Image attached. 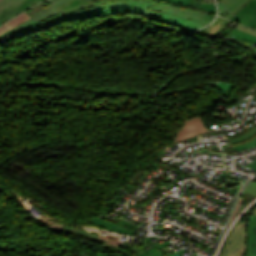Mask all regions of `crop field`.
I'll return each mask as SVG.
<instances>
[{
	"mask_svg": "<svg viewBox=\"0 0 256 256\" xmlns=\"http://www.w3.org/2000/svg\"><path fill=\"white\" fill-rule=\"evenodd\" d=\"M153 1L145 0H132L119 3H110L96 7L98 15L111 14V13H127L134 12L145 15L147 19L164 23L167 25L175 26L178 28L194 31L206 24L189 21L179 17H175L165 13H159L148 10Z\"/></svg>",
	"mask_w": 256,
	"mask_h": 256,
	"instance_id": "8a807250",
	"label": "crop field"
},
{
	"mask_svg": "<svg viewBox=\"0 0 256 256\" xmlns=\"http://www.w3.org/2000/svg\"><path fill=\"white\" fill-rule=\"evenodd\" d=\"M247 223L239 222L232 228L220 256H243L246 253Z\"/></svg>",
	"mask_w": 256,
	"mask_h": 256,
	"instance_id": "ac0d7876",
	"label": "crop field"
},
{
	"mask_svg": "<svg viewBox=\"0 0 256 256\" xmlns=\"http://www.w3.org/2000/svg\"><path fill=\"white\" fill-rule=\"evenodd\" d=\"M41 1L44 0H4L0 2V24Z\"/></svg>",
	"mask_w": 256,
	"mask_h": 256,
	"instance_id": "34b2d1b8",
	"label": "crop field"
},
{
	"mask_svg": "<svg viewBox=\"0 0 256 256\" xmlns=\"http://www.w3.org/2000/svg\"><path fill=\"white\" fill-rule=\"evenodd\" d=\"M150 10L165 12V13L182 17V18H186V19H190V20H194V21H198L206 24L210 23L214 18L212 16H208L200 12L176 8V7L162 5V4H155V3H152Z\"/></svg>",
	"mask_w": 256,
	"mask_h": 256,
	"instance_id": "412701ff",
	"label": "crop field"
},
{
	"mask_svg": "<svg viewBox=\"0 0 256 256\" xmlns=\"http://www.w3.org/2000/svg\"><path fill=\"white\" fill-rule=\"evenodd\" d=\"M213 130V129H212ZM210 129H208L202 120V116L197 117V118H193L190 120H186L184 126L182 127L179 135L177 136L176 140L174 143L189 138V137H193V136H198L199 134L205 133V132H209L212 131Z\"/></svg>",
	"mask_w": 256,
	"mask_h": 256,
	"instance_id": "f4fd0767",
	"label": "crop field"
},
{
	"mask_svg": "<svg viewBox=\"0 0 256 256\" xmlns=\"http://www.w3.org/2000/svg\"><path fill=\"white\" fill-rule=\"evenodd\" d=\"M231 20L254 29L256 26V0H250Z\"/></svg>",
	"mask_w": 256,
	"mask_h": 256,
	"instance_id": "dd49c442",
	"label": "crop field"
},
{
	"mask_svg": "<svg viewBox=\"0 0 256 256\" xmlns=\"http://www.w3.org/2000/svg\"><path fill=\"white\" fill-rule=\"evenodd\" d=\"M249 0H222L218 4L219 14L230 19L235 15ZM219 15V16H220Z\"/></svg>",
	"mask_w": 256,
	"mask_h": 256,
	"instance_id": "e52e79f7",
	"label": "crop field"
},
{
	"mask_svg": "<svg viewBox=\"0 0 256 256\" xmlns=\"http://www.w3.org/2000/svg\"><path fill=\"white\" fill-rule=\"evenodd\" d=\"M94 6L92 0H71L56 6L58 11L65 16L71 12Z\"/></svg>",
	"mask_w": 256,
	"mask_h": 256,
	"instance_id": "d8731c3e",
	"label": "crop field"
},
{
	"mask_svg": "<svg viewBox=\"0 0 256 256\" xmlns=\"http://www.w3.org/2000/svg\"><path fill=\"white\" fill-rule=\"evenodd\" d=\"M172 3H183L186 5L194 6L198 9L206 10L215 13L216 8L214 4V0H163Z\"/></svg>",
	"mask_w": 256,
	"mask_h": 256,
	"instance_id": "5a996713",
	"label": "crop field"
},
{
	"mask_svg": "<svg viewBox=\"0 0 256 256\" xmlns=\"http://www.w3.org/2000/svg\"><path fill=\"white\" fill-rule=\"evenodd\" d=\"M247 252L256 254V216L252 215L248 219Z\"/></svg>",
	"mask_w": 256,
	"mask_h": 256,
	"instance_id": "3316defc",
	"label": "crop field"
},
{
	"mask_svg": "<svg viewBox=\"0 0 256 256\" xmlns=\"http://www.w3.org/2000/svg\"><path fill=\"white\" fill-rule=\"evenodd\" d=\"M228 23L229 21L217 17L216 20L207 28L203 34L216 38Z\"/></svg>",
	"mask_w": 256,
	"mask_h": 256,
	"instance_id": "28ad6ade",
	"label": "crop field"
},
{
	"mask_svg": "<svg viewBox=\"0 0 256 256\" xmlns=\"http://www.w3.org/2000/svg\"><path fill=\"white\" fill-rule=\"evenodd\" d=\"M90 222L94 223V224H97V225H101V226H104L105 228L107 229H110V230H113L115 232H118V233H122V234H127V235H131V236H134V233L128 231V230H125L121 227H118L112 223H109L97 216H95L94 218L90 219L89 220Z\"/></svg>",
	"mask_w": 256,
	"mask_h": 256,
	"instance_id": "d1516ede",
	"label": "crop field"
},
{
	"mask_svg": "<svg viewBox=\"0 0 256 256\" xmlns=\"http://www.w3.org/2000/svg\"><path fill=\"white\" fill-rule=\"evenodd\" d=\"M56 14H59L55 8L51 5L47 8H44L32 15H30L37 23L47 19V18H50Z\"/></svg>",
	"mask_w": 256,
	"mask_h": 256,
	"instance_id": "22f410ed",
	"label": "crop field"
},
{
	"mask_svg": "<svg viewBox=\"0 0 256 256\" xmlns=\"http://www.w3.org/2000/svg\"><path fill=\"white\" fill-rule=\"evenodd\" d=\"M95 15H97L95 7H92V8H87L81 11L74 12L64 18L67 20H71V19L89 17V16H95Z\"/></svg>",
	"mask_w": 256,
	"mask_h": 256,
	"instance_id": "cbeb9de0",
	"label": "crop field"
},
{
	"mask_svg": "<svg viewBox=\"0 0 256 256\" xmlns=\"http://www.w3.org/2000/svg\"><path fill=\"white\" fill-rule=\"evenodd\" d=\"M65 231H69V232H72V233H75V234H78V235H83V236H86V237L91 238V239L101 240V239L98 238V233L99 232H97V231L86 230V229L79 230V229H75V228H71V227H66Z\"/></svg>",
	"mask_w": 256,
	"mask_h": 256,
	"instance_id": "5142ce71",
	"label": "crop field"
},
{
	"mask_svg": "<svg viewBox=\"0 0 256 256\" xmlns=\"http://www.w3.org/2000/svg\"><path fill=\"white\" fill-rule=\"evenodd\" d=\"M29 18H31V17L29 15H27L25 12H23L20 15H18L16 18H14L13 20H11L10 22L6 23L3 26L9 30Z\"/></svg>",
	"mask_w": 256,
	"mask_h": 256,
	"instance_id": "d9b57169",
	"label": "crop field"
},
{
	"mask_svg": "<svg viewBox=\"0 0 256 256\" xmlns=\"http://www.w3.org/2000/svg\"><path fill=\"white\" fill-rule=\"evenodd\" d=\"M39 28H42L41 26H39L35 21L28 24L27 26L21 28L20 30L12 33L13 35H15L16 37L18 36H21L23 34H26L28 32H31L33 30H36V29H39Z\"/></svg>",
	"mask_w": 256,
	"mask_h": 256,
	"instance_id": "733c2abd",
	"label": "crop field"
},
{
	"mask_svg": "<svg viewBox=\"0 0 256 256\" xmlns=\"http://www.w3.org/2000/svg\"><path fill=\"white\" fill-rule=\"evenodd\" d=\"M255 146H256V138H254L253 140H251L245 144L234 146V149L238 152L240 150L249 149V148H252Z\"/></svg>",
	"mask_w": 256,
	"mask_h": 256,
	"instance_id": "4a817a6b",
	"label": "crop field"
},
{
	"mask_svg": "<svg viewBox=\"0 0 256 256\" xmlns=\"http://www.w3.org/2000/svg\"><path fill=\"white\" fill-rule=\"evenodd\" d=\"M232 33H234L236 35H239V36H241V37H243L245 39H248V40H251L253 42H256V37H254L252 35H249V34H247L245 32H242V31H240L238 29H235Z\"/></svg>",
	"mask_w": 256,
	"mask_h": 256,
	"instance_id": "bc2a9ffb",
	"label": "crop field"
},
{
	"mask_svg": "<svg viewBox=\"0 0 256 256\" xmlns=\"http://www.w3.org/2000/svg\"><path fill=\"white\" fill-rule=\"evenodd\" d=\"M255 133H256V127L253 130H251L250 132L246 133L245 135H243L239 138L231 139L230 141H231V143L241 141V140H244V139H247V138L251 137Z\"/></svg>",
	"mask_w": 256,
	"mask_h": 256,
	"instance_id": "214f88e0",
	"label": "crop field"
},
{
	"mask_svg": "<svg viewBox=\"0 0 256 256\" xmlns=\"http://www.w3.org/2000/svg\"><path fill=\"white\" fill-rule=\"evenodd\" d=\"M242 200H243V198L241 197L240 200H239V202H238V204H237V206H236V208H235V210H234V213H233V215H232V217H231V219H230V221H229V223H228V225H227V228H228V226L230 225V223L233 221V219H234V217H235V215H236V213H237V211H238V209H239V207H240V204H241ZM227 228H226V229H227Z\"/></svg>",
	"mask_w": 256,
	"mask_h": 256,
	"instance_id": "92a150f3",
	"label": "crop field"
},
{
	"mask_svg": "<svg viewBox=\"0 0 256 256\" xmlns=\"http://www.w3.org/2000/svg\"><path fill=\"white\" fill-rule=\"evenodd\" d=\"M32 21H34V20L31 18V19L25 21L24 23H22V24L16 26L15 28H13V29H11V30H9V31L14 32V31L18 30L19 28H21V27L27 25L28 23H30V22H32Z\"/></svg>",
	"mask_w": 256,
	"mask_h": 256,
	"instance_id": "dafd665d",
	"label": "crop field"
},
{
	"mask_svg": "<svg viewBox=\"0 0 256 256\" xmlns=\"http://www.w3.org/2000/svg\"><path fill=\"white\" fill-rule=\"evenodd\" d=\"M169 243H171V242L167 241V242H165V243H163V244H161V245H159V246H157V247H155V248H153V249H151V250H149V251L143 253V254L140 255V256H144V255H146V254H148V253H150V252H152V251H154V250H156V249H159V248H161V247H163V246H165V245H167V244H169Z\"/></svg>",
	"mask_w": 256,
	"mask_h": 256,
	"instance_id": "00972430",
	"label": "crop field"
},
{
	"mask_svg": "<svg viewBox=\"0 0 256 256\" xmlns=\"http://www.w3.org/2000/svg\"><path fill=\"white\" fill-rule=\"evenodd\" d=\"M238 29H240V30H242V31H245V32H247V33H249V34H252V35H255V36H256V32H255V31L246 29V28L241 27V26H239Z\"/></svg>",
	"mask_w": 256,
	"mask_h": 256,
	"instance_id": "a9b5d70f",
	"label": "crop field"
},
{
	"mask_svg": "<svg viewBox=\"0 0 256 256\" xmlns=\"http://www.w3.org/2000/svg\"><path fill=\"white\" fill-rule=\"evenodd\" d=\"M49 2L53 3L54 6L60 4V3H63L65 1H68V0H48Z\"/></svg>",
	"mask_w": 256,
	"mask_h": 256,
	"instance_id": "4177f3b9",
	"label": "crop field"
},
{
	"mask_svg": "<svg viewBox=\"0 0 256 256\" xmlns=\"http://www.w3.org/2000/svg\"><path fill=\"white\" fill-rule=\"evenodd\" d=\"M230 32L229 31H227V30H223L222 32H221V34L220 35H223L222 37L219 35L218 36V38H220V39H224L228 34H229Z\"/></svg>",
	"mask_w": 256,
	"mask_h": 256,
	"instance_id": "730fd06b",
	"label": "crop field"
},
{
	"mask_svg": "<svg viewBox=\"0 0 256 256\" xmlns=\"http://www.w3.org/2000/svg\"><path fill=\"white\" fill-rule=\"evenodd\" d=\"M161 254H163V253L161 251L157 250V251H155V252H153V253H151V254H149L147 256H159Z\"/></svg>",
	"mask_w": 256,
	"mask_h": 256,
	"instance_id": "eef30255",
	"label": "crop field"
},
{
	"mask_svg": "<svg viewBox=\"0 0 256 256\" xmlns=\"http://www.w3.org/2000/svg\"><path fill=\"white\" fill-rule=\"evenodd\" d=\"M245 166H248V167H251V168H253V169H256V161L251 162V163H249V164H247V165H245Z\"/></svg>",
	"mask_w": 256,
	"mask_h": 256,
	"instance_id": "ae1a2a85",
	"label": "crop field"
},
{
	"mask_svg": "<svg viewBox=\"0 0 256 256\" xmlns=\"http://www.w3.org/2000/svg\"><path fill=\"white\" fill-rule=\"evenodd\" d=\"M232 37H234V38H236V39H239V40H241V41H243V42H248V40H245V39H242V38H240V37H238V36H236V35H231Z\"/></svg>",
	"mask_w": 256,
	"mask_h": 256,
	"instance_id": "d3111659",
	"label": "crop field"
},
{
	"mask_svg": "<svg viewBox=\"0 0 256 256\" xmlns=\"http://www.w3.org/2000/svg\"><path fill=\"white\" fill-rule=\"evenodd\" d=\"M184 251H186V250L182 249V250H180V251H178V252H176V253H174V254H172V255H170V256H175V255H177V254H179V253H182V252H184Z\"/></svg>",
	"mask_w": 256,
	"mask_h": 256,
	"instance_id": "750c4746",
	"label": "crop field"
},
{
	"mask_svg": "<svg viewBox=\"0 0 256 256\" xmlns=\"http://www.w3.org/2000/svg\"><path fill=\"white\" fill-rule=\"evenodd\" d=\"M6 31H7V30L4 29L2 26L0 27V35H1L2 33L6 32Z\"/></svg>",
	"mask_w": 256,
	"mask_h": 256,
	"instance_id": "bd1437ed",
	"label": "crop field"
},
{
	"mask_svg": "<svg viewBox=\"0 0 256 256\" xmlns=\"http://www.w3.org/2000/svg\"><path fill=\"white\" fill-rule=\"evenodd\" d=\"M246 256H256L255 254H249L247 253Z\"/></svg>",
	"mask_w": 256,
	"mask_h": 256,
	"instance_id": "1d83c4d3",
	"label": "crop field"
},
{
	"mask_svg": "<svg viewBox=\"0 0 256 256\" xmlns=\"http://www.w3.org/2000/svg\"><path fill=\"white\" fill-rule=\"evenodd\" d=\"M255 210V209H254ZM252 215H256V210L252 213Z\"/></svg>",
	"mask_w": 256,
	"mask_h": 256,
	"instance_id": "120bbe31",
	"label": "crop field"
},
{
	"mask_svg": "<svg viewBox=\"0 0 256 256\" xmlns=\"http://www.w3.org/2000/svg\"><path fill=\"white\" fill-rule=\"evenodd\" d=\"M252 55L256 56V51H255V53H253ZM254 87H256V85H255Z\"/></svg>",
	"mask_w": 256,
	"mask_h": 256,
	"instance_id": "d32e631a",
	"label": "crop field"
},
{
	"mask_svg": "<svg viewBox=\"0 0 256 256\" xmlns=\"http://www.w3.org/2000/svg\"><path fill=\"white\" fill-rule=\"evenodd\" d=\"M0 1H2V0H0Z\"/></svg>",
	"mask_w": 256,
	"mask_h": 256,
	"instance_id": "5866460e",
	"label": "crop field"
},
{
	"mask_svg": "<svg viewBox=\"0 0 256 256\" xmlns=\"http://www.w3.org/2000/svg\"><path fill=\"white\" fill-rule=\"evenodd\" d=\"M256 29V28H255Z\"/></svg>",
	"mask_w": 256,
	"mask_h": 256,
	"instance_id": "028f5c9d",
	"label": "crop field"
}]
</instances>
